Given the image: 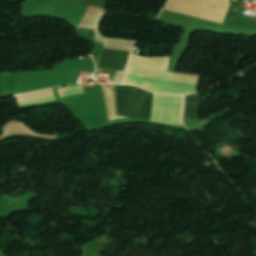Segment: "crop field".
I'll list each match as a JSON object with an SVG mask.
<instances>
[{
	"label": "crop field",
	"mask_w": 256,
	"mask_h": 256,
	"mask_svg": "<svg viewBox=\"0 0 256 256\" xmlns=\"http://www.w3.org/2000/svg\"><path fill=\"white\" fill-rule=\"evenodd\" d=\"M117 115L150 120L153 93L132 86H115Z\"/></svg>",
	"instance_id": "8a807250"
},
{
	"label": "crop field",
	"mask_w": 256,
	"mask_h": 256,
	"mask_svg": "<svg viewBox=\"0 0 256 256\" xmlns=\"http://www.w3.org/2000/svg\"><path fill=\"white\" fill-rule=\"evenodd\" d=\"M130 52L103 49L97 67L124 71Z\"/></svg>",
	"instance_id": "ac0d7876"
},
{
	"label": "crop field",
	"mask_w": 256,
	"mask_h": 256,
	"mask_svg": "<svg viewBox=\"0 0 256 256\" xmlns=\"http://www.w3.org/2000/svg\"><path fill=\"white\" fill-rule=\"evenodd\" d=\"M198 93L185 96L184 119H197Z\"/></svg>",
	"instance_id": "34b2d1b8"
},
{
	"label": "crop field",
	"mask_w": 256,
	"mask_h": 256,
	"mask_svg": "<svg viewBox=\"0 0 256 256\" xmlns=\"http://www.w3.org/2000/svg\"><path fill=\"white\" fill-rule=\"evenodd\" d=\"M53 90H44V91H39V92H34L30 94H24V95H18L16 96L17 101H26V100H31V99H37V98H42V97H47V96H53Z\"/></svg>",
	"instance_id": "412701ff"
},
{
	"label": "crop field",
	"mask_w": 256,
	"mask_h": 256,
	"mask_svg": "<svg viewBox=\"0 0 256 256\" xmlns=\"http://www.w3.org/2000/svg\"><path fill=\"white\" fill-rule=\"evenodd\" d=\"M255 25H256V22H255Z\"/></svg>",
	"instance_id": "f4fd0767"
}]
</instances>
